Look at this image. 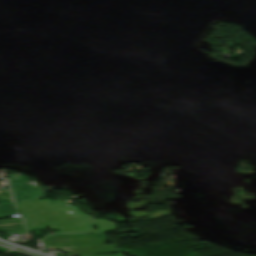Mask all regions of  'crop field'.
Returning a JSON list of instances; mask_svg holds the SVG:
<instances>
[{
    "mask_svg": "<svg viewBox=\"0 0 256 256\" xmlns=\"http://www.w3.org/2000/svg\"><path fill=\"white\" fill-rule=\"evenodd\" d=\"M28 230L51 227L59 233L91 232V219L61 200L49 199L16 203Z\"/></svg>",
    "mask_w": 256,
    "mask_h": 256,
    "instance_id": "1",
    "label": "crop field"
},
{
    "mask_svg": "<svg viewBox=\"0 0 256 256\" xmlns=\"http://www.w3.org/2000/svg\"><path fill=\"white\" fill-rule=\"evenodd\" d=\"M106 239L97 238L93 235L69 236V235H52L46 237L43 241L45 247L56 249H65L76 252L77 255H96L105 253L118 252L112 246L104 247L100 243H105ZM56 242L57 244H51Z\"/></svg>",
    "mask_w": 256,
    "mask_h": 256,
    "instance_id": "2",
    "label": "crop field"
},
{
    "mask_svg": "<svg viewBox=\"0 0 256 256\" xmlns=\"http://www.w3.org/2000/svg\"><path fill=\"white\" fill-rule=\"evenodd\" d=\"M8 182L13 187L16 201L24 200L26 197L34 199L43 196L44 191L37 188L25 176L20 174L8 176Z\"/></svg>",
    "mask_w": 256,
    "mask_h": 256,
    "instance_id": "3",
    "label": "crop field"
},
{
    "mask_svg": "<svg viewBox=\"0 0 256 256\" xmlns=\"http://www.w3.org/2000/svg\"><path fill=\"white\" fill-rule=\"evenodd\" d=\"M94 225H98V230L94 231H115L116 224L106 220H94Z\"/></svg>",
    "mask_w": 256,
    "mask_h": 256,
    "instance_id": "4",
    "label": "crop field"
},
{
    "mask_svg": "<svg viewBox=\"0 0 256 256\" xmlns=\"http://www.w3.org/2000/svg\"><path fill=\"white\" fill-rule=\"evenodd\" d=\"M24 233H27V232H22V233H20V234H24ZM15 234H17V233H15Z\"/></svg>",
    "mask_w": 256,
    "mask_h": 256,
    "instance_id": "6",
    "label": "crop field"
},
{
    "mask_svg": "<svg viewBox=\"0 0 256 256\" xmlns=\"http://www.w3.org/2000/svg\"><path fill=\"white\" fill-rule=\"evenodd\" d=\"M17 214L13 204H0V218Z\"/></svg>",
    "mask_w": 256,
    "mask_h": 256,
    "instance_id": "5",
    "label": "crop field"
}]
</instances>
